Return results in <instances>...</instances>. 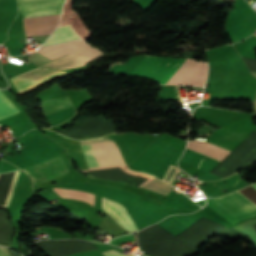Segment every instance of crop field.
Here are the masks:
<instances>
[{
  "mask_svg": "<svg viewBox=\"0 0 256 256\" xmlns=\"http://www.w3.org/2000/svg\"><path fill=\"white\" fill-rule=\"evenodd\" d=\"M225 228L202 217L176 238L157 224L137 235L140 250L146 256H192L201 243Z\"/></svg>",
  "mask_w": 256,
  "mask_h": 256,
  "instance_id": "obj_1",
  "label": "crop field"
},
{
  "mask_svg": "<svg viewBox=\"0 0 256 256\" xmlns=\"http://www.w3.org/2000/svg\"><path fill=\"white\" fill-rule=\"evenodd\" d=\"M190 60L144 55L128 75L167 84ZM207 63L191 60L168 84L204 85Z\"/></svg>",
  "mask_w": 256,
  "mask_h": 256,
  "instance_id": "obj_2",
  "label": "crop field"
},
{
  "mask_svg": "<svg viewBox=\"0 0 256 256\" xmlns=\"http://www.w3.org/2000/svg\"><path fill=\"white\" fill-rule=\"evenodd\" d=\"M207 204L235 223L256 214V184L220 198H208Z\"/></svg>",
  "mask_w": 256,
  "mask_h": 256,
  "instance_id": "obj_3",
  "label": "crop field"
},
{
  "mask_svg": "<svg viewBox=\"0 0 256 256\" xmlns=\"http://www.w3.org/2000/svg\"><path fill=\"white\" fill-rule=\"evenodd\" d=\"M165 135L161 133L128 167L161 179L177 152L161 142Z\"/></svg>",
  "mask_w": 256,
  "mask_h": 256,
  "instance_id": "obj_4",
  "label": "crop field"
},
{
  "mask_svg": "<svg viewBox=\"0 0 256 256\" xmlns=\"http://www.w3.org/2000/svg\"><path fill=\"white\" fill-rule=\"evenodd\" d=\"M79 142L89 168L124 164L118 148L108 139Z\"/></svg>",
  "mask_w": 256,
  "mask_h": 256,
  "instance_id": "obj_5",
  "label": "crop field"
},
{
  "mask_svg": "<svg viewBox=\"0 0 256 256\" xmlns=\"http://www.w3.org/2000/svg\"><path fill=\"white\" fill-rule=\"evenodd\" d=\"M47 256H66L76 252L97 250L87 241L81 240H43L35 243Z\"/></svg>",
  "mask_w": 256,
  "mask_h": 256,
  "instance_id": "obj_6",
  "label": "crop field"
},
{
  "mask_svg": "<svg viewBox=\"0 0 256 256\" xmlns=\"http://www.w3.org/2000/svg\"><path fill=\"white\" fill-rule=\"evenodd\" d=\"M72 52L82 49L90 44L80 41V40H74V41H68L62 44H58ZM71 52L57 46H48L40 48L38 51L31 53V55L28 58V62L36 65H43L45 63H48L54 59H57L61 56H64L66 54H69Z\"/></svg>",
  "mask_w": 256,
  "mask_h": 256,
  "instance_id": "obj_7",
  "label": "crop field"
},
{
  "mask_svg": "<svg viewBox=\"0 0 256 256\" xmlns=\"http://www.w3.org/2000/svg\"><path fill=\"white\" fill-rule=\"evenodd\" d=\"M32 177L33 185L67 173L60 156L22 169Z\"/></svg>",
  "mask_w": 256,
  "mask_h": 256,
  "instance_id": "obj_8",
  "label": "crop field"
},
{
  "mask_svg": "<svg viewBox=\"0 0 256 256\" xmlns=\"http://www.w3.org/2000/svg\"><path fill=\"white\" fill-rule=\"evenodd\" d=\"M53 71H56V70L38 67L33 70L27 71L25 73L19 74L18 76L36 79L38 77H41V76L51 73ZM65 73H68V72L58 70L56 72H53L51 74H48V75L38 78L36 80L27 79V78L18 77V76H14V77L10 78V80H11V83L13 84V86L18 91V93H20L22 91H25L27 89H30V88L42 83L50 78H53V77H56L58 75L65 74Z\"/></svg>",
  "mask_w": 256,
  "mask_h": 256,
  "instance_id": "obj_9",
  "label": "crop field"
},
{
  "mask_svg": "<svg viewBox=\"0 0 256 256\" xmlns=\"http://www.w3.org/2000/svg\"><path fill=\"white\" fill-rule=\"evenodd\" d=\"M24 17L60 14L63 0H17Z\"/></svg>",
  "mask_w": 256,
  "mask_h": 256,
  "instance_id": "obj_10",
  "label": "crop field"
},
{
  "mask_svg": "<svg viewBox=\"0 0 256 256\" xmlns=\"http://www.w3.org/2000/svg\"><path fill=\"white\" fill-rule=\"evenodd\" d=\"M116 203L102 198V209L105 210L115 221L122 225L128 232L136 231L137 228L126 209Z\"/></svg>",
  "mask_w": 256,
  "mask_h": 256,
  "instance_id": "obj_11",
  "label": "crop field"
},
{
  "mask_svg": "<svg viewBox=\"0 0 256 256\" xmlns=\"http://www.w3.org/2000/svg\"><path fill=\"white\" fill-rule=\"evenodd\" d=\"M181 160L193 164L207 172H209L213 167H215L220 162L219 160H216L214 158L208 157L206 155L200 154L187 148L184 154L182 155Z\"/></svg>",
  "mask_w": 256,
  "mask_h": 256,
  "instance_id": "obj_12",
  "label": "crop field"
},
{
  "mask_svg": "<svg viewBox=\"0 0 256 256\" xmlns=\"http://www.w3.org/2000/svg\"><path fill=\"white\" fill-rule=\"evenodd\" d=\"M90 60H92V58H88L85 56L71 53L67 56L60 58V59L52 61V62L44 65L43 67L66 69V68L84 66V64L89 62Z\"/></svg>",
  "mask_w": 256,
  "mask_h": 256,
  "instance_id": "obj_13",
  "label": "crop field"
},
{
  "mask_svg": "<svg viewBox=\"0 0 256 256\" xmlns=\"http://www.w3.org/2000/svg\"><path fill=\"white\" fill-rule=\"evenodd\" d=\"M71 106L68 96L44 100L40 105L43 116Z\"/></svg>",
  "mask_w": 256,
  "mask_h": 256,
  "instance_id": "obj_14",
  "label": "crop field"
},
{
  "mask_svg": "<svg viewBox=\"0 0 256 256\" xmlns=\"http://www.w3.org/2000/svg\"><path fill=\"white\" fill-rule=\"evenodd\" d=\"M77 38L78 36L75 34L70 25L61 26L55 30V32L48 38V40L42 46L53 45Z\"/></svg>",
  "mask_w": 256,
  "mask_h": 256,
  "instance_id": "obj_15",
  "label": "crop field"
},
{
  "mask_svg": "<svg viewBox=\"0 0 256 256\" xmlns=\"http://www.w3.org/2000/svg\"><path fill=\"white\" fill-rule=\"evenodd\" d=\"M13 234V228L7 219V213L0 210V245L11 247L10 237Z\"/></svg>",
  "mask_w": 256,
  "mask_h": 256,
  "instance_id": "obj_16",
  "label": "crop field"
},
{
  "mask_svg": "<svg viewBox=\"0 0 256 256\" xmlns=\"http://www.w3.org/2000/svg\"><path fill=\"white\" fill-rule=\"evenodd\" d=\"M53 190L56 193H58L61 197L75 198V199L86 201V202L90 203L91 205H93L94 195H92V194L74 191V190H70V189L54 188Z\"/></svg>",
  "mask_w": 256,
  "mask_h": 256,
  "instance_id": "obj_17",
  "label": "crop field"
},
{
  "mask_svg": "<svg viewBox=\"0 0 256 256\" xmlns=\"http://www.w3.org/2000/svg\"><path fill=\"white\" fill-rule=\"evenodd\" d=\"M20 112L9 99L0 91V119Z\"/></svg>",
  "mask_w": 256,
  "mask_h": 256,
  "instance_id": "obj_18",
  "label": "crop field"
},
{
  "mask_svg": "<svg viewBox=\"0 0 256 256\" xmlns=\"http://www.w3.org/2000/svg\"><path fill=\"white\" fill-rule=\"evenodd\" d=\"M103 254H105L106 256H126V255H122V254H119L113 250L111 251H107V252H103Z\"/></svg>",
  "mask_w": 256,
  "mask_h": 256,
  "instance_id": "obj_19",
  "label": "crop field"
},
{
  "mask_svg": "<svg viewBox=\"0 0 256 256\" xmlns=\"http://www.w3.org/2000/svg\"><path fill=\"white\" fill-rule=\"evenodd\" d=\"M6 250L8 249L0 247V256H11Z\"/></svg>",
  "mask_w": 256,
  "mask_h": 256,
  "instance_id": "obj_20",
  "label": "crop field"
}]
</instances>
